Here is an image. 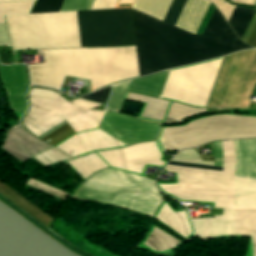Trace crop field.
I'll list each match as a JSON object with an SVG mask.
<instances>
[{
  "mask_svg": "<svg viewBox=\"0 0 256 256\" xmlns=\"http://www.w3.org/2000/svg\"><path fill=\"white\" fill-rule=\"evenodd\" d=\"M237 152L235 176L256 178V139L234 140ZM177 172L178 184H159L180 200L215 202V208H234V177ZM235 177V208L256 207V180ZM203 218V217H202ZM200 239L234 235V209L214 218L192 219ZM235 235H252L256 256V208L235 209Z\"/></svg>",
  "mask_w": 256,
  "mask_h": 256,
  "instance_id": "obj_1",
  "label": "crop field"
},
{
  "mask_svg": "<svg viewBox=\"0 0 256 256\" xmlns=\"http://www.w3.org/2000/svg\"><path fill=\"white\" fill-rule=\"evenodd\" d=\"M36 160H38L42 165L47 166L53 162L62 161L68 158H71L62 152L58 151L55 148H51L35 157Z\"/></svg>",
  "mask_w": 256,
  "mask_h": 256,
  "instance_id": "obj_32",
  "label": "crop field"
},
{
  "mask_svg": "<svg viewBox=\"0 0 256 256\" xmlns=\"http://www.w3.org/2000/svg\"><path fill=\"white\" fill-rule=\"evenodd\" d=\"M140 77L166 69L160 21L132 10Z\"/></svg>",
  "mask_w": 256,
  "mask_h": 256,
  "instance_id": "obj_11",
  "label": "crop field"
},
{
  "mask_svg": "<svg viewBox=\"0 0 256 256\" xmlns=\"http://www.w3.org/2000/svg\"><path fill=\"white\" fill-rule=\"evenodd\" d=\"M210 4L208 0H187L175 26L196 34Z\"/></svg>",
  "mask_w": 256,
  "mask_h": 256,
  "instance_id": "obj_19",
  "label": "crop field"
},
{
  "mask_svg": "<svg viewBox=\"0 0 256 256\" xmlns=\"http://www.w3.org/2000/svg\"><path fill=\"white\" fill-rule=\"evenodd\" d=\"M255 6H256V4H255Z\"/></svg>",
  "mask_w": 256,
  "mask_h": 256,
  "instance_id": "obj_43",
  "label": "crop field"
},
{
  "mask_svg": "<svg viewBox=\"0 0 256 256\" xmlns=\"http://www.w3.org/2000/svg\"><path fill=\"white\" fill-rule=\"evenodd\" d=\"M221 62L222 58L171 70L161 97L190 105L205 106Z\"/></svg>",
  "mask_w": 256,
  "mask_h": 256,
  "instance_id": "obj_7",
  "label": "crop field"
},
{
  "mask_svg": "<svg viewBox=\"0 0 256 256\" xmlns=\"http://www.w3.org/2000/svg\"><path fill=\"white\" fill-rule=\"evenodd\" d=\"M127 98L147 103L140 117L162 121L168 101L130 93H128Z\"/></svg>",
  "mask_w": 256,
  "mask_h": 256,
  "instance_id": "obj_23",
  "label": "crop field"
},
{
  "mask_svg": "<svg viewBox=\"0 0 256 256\" xmlns=\"http://www.w3.org/2000/svg\"><path fill=\"white\" fill-rule=\"evenodd\" d=\"M64 0H37L32 13L58 12ZM94 0H65L59 12L89 10Z\"/></svg>",
  "mask_w": 256,
  "mask_h": 256,
  "instance_id": "obj_21",
  "label": "crop field"
},
{
  "mask_svg": "<svg viewBox=\"0 0 256 256\" xmlns=\"http://www.w3.org/2000/svg\"><path fill=\"white\" fill-rule=\"evenodd\" d=\"M67 123V122H66ZM65 122L55 126L54 128H52L51 130L47 131L46 133H44L43 135H41L40 137L38 138H43L45 137L46 135H48L49 133L53 132L54 130L58 129L59 127H61L62 125L66 124ZM75 132L72 130V128L66 124L64 126H62L61 128H59L58 130L54 131L53 133L49 134L48 136H46L45 138H43L42 140H46V139H51L52 141L49 142V144L51 145H56L57 143H59L60 141H62L63 139H65L66 137L74 134ZM47 140L46 142L50 141V140Z\"/></svg>",
  "mask_w": 256,
  "mask_h": 256,
  "instance_id": "obj_31",
  "label": "crop field"
},
{
  "mask_svg": "<svg viewBox=\"0 0 256 256\" xmlns=\"http://www.w3.org/2000/svg\"><path fill=\"white\" fill-rule=\"evenodd\" d=\"M0 45L11 46L6 25H0Z\"/></svg>",
  "mask_w": 256,
  "mask_h": 256,
  "instance_id": "obj_37",
  "label": "crop field"
},
{
  "mask_svg": "<svg viewBox=\"0 0 256 256\" xmlns=\"http://www.w3.org/2000/svg\"><path fill=\"white\" fill-rule=\"evenodd\" d=\"M3 1H8V0H0V2H3Z\"/></svg>",
  "mask_w": 256,
  "mask_h": 256,
  "instance_id": "obj_41",
  "label": "crop field"
},
{
  "mask_svg": "<svg viewBox=\"0 0 256 256\" xmlns=\"http://www.w3.org/2000/svg\"><path fill=\"white\" fill-rule=\"evenodd\" d=\"M156 218L161 220L176 232L182 234L184 237L192 233L190 224L186 217V211L173 213L169 207L164 204L159 210Z\"/></svg>",
  "mask_w": 256,
  "mask_h": 256,
  "instance_id": "obj_22",
  "label": "crop field"
},
{
  "mask_svg": "<svg viewBox=\"0 0 256 256\" xmlns=\"http://www.w3.org/2000/svg\"><path fill=\"white\" fill-rule=\"evenodd\" d=\"M225 23L216 10L204 36H200L161 22L167 69L221 56L219 36Z\"/></svg>",
  "mask_w": 256,
  "mask_h": 256,
  "instance_id": "obj_5",
  "label": "crop field"
},
{
  "mask_svg": "<svg viewBox=\"0 0 256 256\" xmlns=\"http://www.w3.org/2000/svg\"><path fill=\"white\" fill-rule=\"evenodd\" d=\"M125 146L99 129L76 134L60 143L57 148L68 155L85 154L92 150Z\"/></svg>",
  "mask_w": 256,
  "mask_h": 256,
  "instance_id": "obj_15",
  "label": "crop field"
},
{
  "mask_svg": "<svg viewBox=\"0 0 256 256\" xmlns=\"http://www.w3.org/2000/svg\"><path fill=\"white\" fill-rule=\"evenodd\" d=\"M27 184L34 187V188L40 189V190H42V191H44V192H46L50 195H53V196H55V197H57V198H59L63 201H65L69 197V194L64 193L60 190H57L55 188H52L50 186H47L45 184H42V183H40V182H38V181H36L32 178L27 182Z\"/></svg>",
  "mask_w": 256,
  "mask_h": 256,
  "instance_id": "obj_34",
  "label": "crop field"
},
{
  "mask_svg": "<svg viewBox=\"0 0 256 256\" xmlns=\"http://www.w3.org/2000/svg\"><path fill=\"white\" fill-rule=\"evenodd\" d=\"M34 1L0 3V24H5L3 15L29 13Z\"/></svg>",
  "mask_w": 256,
  "mask_h": 256,
  "instance_id": "obj_30",
  "label": "crop field"
},
{
  "mask_svg": "<svg viewBox=\"0 0 256 256\" xmlns=\"http://www.w3.org/2000/svg\"><path fill=\"white\" fill-rule=\"evenodd\" d=\"M74 198L107 202L151 216L164 199L154 180L112 168L90 177Z\"/></svg>",
  "mask_w": 256,
  "mask_h": 256,
  "instance_id": "obj_3",
  "label": "crop field"
},
{
  "mask_svg": "<svg viewBox=\"0 0 256 256\" xmlns=\"http://www.w3.org/2000/svg\"><path fill=\"white\" fill-rule=\"evenodd\" d=\"M45 63L27 65L31 82L60 90L65 75L89 79L86 48L66 50H39Z\"/></svg>",
  "mask_w": 256,
  "mask_h": 256,
  "instance_id": "obj_9",
  "label": "crop field"
},
{
  "mask_svg": "<svg viewBox=\"0 0 256 256\" xmlns=\"http://www.w3.org/2000/svg\"><path fill=\"white\" fill-rule=\"evenodd\" d=\"M220 42H221L222 56L232 53L234 51L251 48L246 44H244L243 42H241L236 37V35L233 33V31L230 29L227 23L220 36Z\"/></svg>",
  "mask_w": 256,
  "mask_h": 256,
  "instance_id": "obj_28",
  "label": "crop field"
},
{
  "mask_svg": "<svg viewBox=\"0 0 256 256\" xmlns=\"http://www.w3.org/2000/svg\"><path fill=\"white\" fill-rule=\"evenodd\" d=\"M230 1L245 4V5H254L256 2V0H230Z\"/></svg>",
  "mask_w": 256,
  "mask_h": 256,
  "instance_id": "obj_39",
  "label": "crop field"
},
{
  "mask_svg": "<svg viewBox=\"0 0 256 256\" xmlns=\"http://www.w3.org/2000/svg\"><path fill=\"white\" fill-rule=\"evenodd\" d=\"M50 147L52 146L34 138L20 125L9 129L1 150L22 162Z\"/></svg>",
  "mask_w": 256,
  "mask_h": 256,
  "instance_id": "obj_16",
  "label": "crop field"
},
{
  "mask_svg": "<svg viewBox=\"0 0 256 256\" xmlns=\"http://www.w3.org/2000/svg\"><path fill=\"white\" fill-rule=\"evenodd\" d=\"M215 6L221 11L226 21H228L235 6H231L223 0H211Z\"/></svg>",
  "mask_w": 256,
  "mask_h": 256,
  "instance_id": "obj_35",
  "label": "crop field"
},
{
  "mask_svg": "<svg viewBox=\"0 0 256 256\" xmlns=\"http://www.w3.org/2000/svg\"><path fill=\"white\" fill-rule=\"evenodd\" d=\"M104 111L87 110L66 120L75 132L96 128Z\"/></svg>",
  "mask_w": 256,
  "mask_h": 256,
  "instance_id": "obj_24",
  "label": "crop field"
},
{
  "mask_svg": "<svg viewBox=\"0 0 256 256\" xmlns=\"http://www.w3.org/2000/svg\"><path fill=\"white\" fill-rule=\"evenodd\" d=\"M203 110L204 109H194V108H190V107L172 102L171 108H170V111H169V114L167 117L175 118V117H179V116H183V115H187V114H191V113H195V112H199V111H203ZM205 111H203V112H205ZM199 113H201V112H199ZM195 114H198V113H195ZM195 114H191V115H195ZM191 115H188V116H191ZM185 117H187V116L176 118V119L182 120Z\"/></svg>",
  "mask_w": 256,
  "mask_h": 256,
  "instance_id": "obj_33",
  "label": "crop field"
},
{
  "mask_svg": "<svg viewBox=\"0 0 256 256\" xmlns=\"http://www.w3.org/2000/svg\"><path fill=\"white\" fill-rule=\"evenodd\" d=\"M10 1H16V0H10Z\"/></svg>",
  "mask_w": 256,
  "mask_h": 256,
  "instance_id": "obj_42",
  "label": "crop field"
},
{
  "mask_svg": "<svg viewBox=\"0 0 256 256\" xmlns=\"http://www.w3.org/2000/svg\"><path fill=\"white\" fill-rule=\"evenodd\" d=\"M246 69L256 70V49L225 56L206 107L245 108L248 96L236 93Z\"/></svg>",
  "mask_w": 256,
  "mask_h": 256,
  "instance_id": "obj_8",
  "label": "crop field"
},
{
  "mask_svg": "<svg viewBox=\"0 0 256 256\" xmlns=\"http://www.w3.org/2000/svg\"><path fill=\"white\" fill-rule=\"evenodd\" d=\"M68 163L85 179L92 173L109 167L95 153L68 161Z\"/></svg>",
  "mask_w": 256,
  "mask_h": 256,
  "instance_id": "obj_25",
  "label": "crop field"
},
{
  "mask_svg": "<svg viewBox=\"0 0 256 256\" xmlns=\"http://www.w3.org/2000/svg\"><path fill=\"white\" fill-rule=\"evenodd\" d=\"M134 0H120L118 4L133 3Z\"/></svg>",
  "mask_w": 256,
  "mask_h": 256,
  "instance_id": "obj_40",
  "label": "crop field"
},
{
  "mask_svg": "<svg viewBox=\"0 0 256 256\" xmlns=\"http://www.w3.org/2000/svg\"><path fill=\"white\" fill-rule=\"evenodd\" d=\"M255 10L236 6L228 23L236 32L239 38H242Z\"/></svg>",
  "mask_w": 256,
  "mask_h": 256,
  "instance_id": "obj_26",
  "label": "crop field"
},
{
  "mask_svg": "<svg viewBox=\"0 0 256 256\" xmlns=\"http://www.w3.org/2000/svg\"><path fill=\"white\" fill-rule=\"evenodd\" d=\"M98 128L129 146L156 140L160 124L142 122L107 111Z\"/></svg>",
  "mask_w": 256,
  "mask_h": 256,
  "instance_id": "obj_12",
  "label": "crop field"
},
{
  "mask_svg": "<svg viewBox=\"0 0 256 256\" xmlns=\"http://www.w3.org/2000/svg\"><path fill=\"white\" fill-rule=\"evenodd\" d=\"M117 0H95L90 10L114 8Z\"/></svg>",
  "mask_w": 256,
  "mask_h": 256,
  "instance_id": "obj_36",
  "label": "crop field"
},
{
  "mask_svg": "<svg viewBox=\"0 0 256 256\" xmlns=\"http://www.w3.org/2000/svg\"><path fill=\"white\" fill-rule=\"evenodd\" d=\"M222 145H223V155H224L223 172H219V171H222V168H218V167L188 164V163H196V164H204V165H211V166H213L214 164V162H202L198 154L194 150V148L184 149L171 159L173 161H181V162H188V163L170 161L169 164L203 168V169H211V170H219V171H211V170H203V169H195V168H187V167H179V166H171V165H167L166 167L234 176L235 160H236L234 142L233 140H224L222 141ZM222 145H221V141L213 142L214 157H215L214 166L222 167L223 165Z\"/></svg>",
  "mask_w": 256,
  "mask_h": 256,
  "instance_id": "obj_13",
  "label": "crop field"
},
{
  "mask_svg": "<svg viewBox=\"0 0 256 256\" xmlns=\"http://www.w3.org/2000/svg\"><path fill=\"white\" fill-rule=\"evenodd\" d=\"M179 242V240L169 236L158 228L153 227L149 236L143 244L149 246L154 250H164L173 247Z\"/></svg>",
  "mask_w": 256,
  "mask_h": 256,
  "instance_id": "obj_27",
  "label": "crop field"
},
{
  "mask_svg": "<svg viewBox=\"0 0 256 256\" xmlns=\"http://www.w3.org/2000/svg\"><path fill=\"white\" fill-rule=\"evenodd\" d=\"M110 88L82 98L105 103ZM29 100L30 109L23 119V124L36 136L81 111L102 105L79 98L67 102L57 93L34 88L29 92Z\"/></svg>",
  "mask_w": 256,
  "mask_h": 256,
  "instance_id": "obj_6",
  "label": "crop field"
},
{
  "mask_svg": "<svg viewBox=\"0 0 256 256\" xmlns=\"http://www.w3.org/2000/svg\"><path fill=\"white\" fill-rule=\"evenodd\" d=\"M168 71L132 80L127 91L159 98Z\"/></svg>",
  "mask_w": 256,
  "mask_h": 256,
  "instance_id": "obj_20",
  "label": "crop field"
},
{
  "mask_svg": "<svg viewBox=\"0 0 256 256\" xmlns=\"http://www.w3.org/2000/svg\"><path fill=\"white\" fill-rule=\"evenodd\" d=\"M111 166L140 173L145 164L163 166L155 142L98 152Z\"/></svg>",
  "mask_w": 256,
  "mask_h": 256,
  "instance_id": "obj_14",
  "label": "crop field"
},
{
  "mask_svg": "<svg viewBox=\"0 0 256 256\" xmlns=\"http://www.w3.org/2000/svg\"><path fill=\"white\" fill-rule=\"evenodd\" d=\"M256 137V117L220 115L202 118L186 126L163 128L164 150L188 148L222 138Z\"/></svg>",
  "mask_w": 256,
  "mask_h": 256,
  "instance_id": "obj_4",
  "label": "crop field"
},
{
  "mask_svg": "<svg viewBox=\"0 0 256 256\" xmlns=\"http://www.w3.org/2000/svg\"><path fill=\"white\" fill-rule=\"evenodd\" d=\"M87 59L93 90L138 76L135 46L87 49Z\"/></svg>",
  "mask_w": 256,
  "mask_h": 256,
  "instance_id": "obj_10",
  "label": "crop field"
},
{
  "mask_svg": "<svg viewBox=\"0 0 256 256\" xmlns=\"http://www.w3.org/2000/svg\"><path fill=\"white\" fill-rule=\"evenodd\" d=\"M247 44L256 47V27H255V29H254V31H253V33H252V35H251Z\"/></svg>",
  "mask_w": 256,
  "mask_h": 256,
  "instance_id": "obj_38",
  "label": "crop field"
},
{
  "mask_svg": "<svg viewBox=\"0 0 256 256\" xmlns=\"http://www.w3.org/2000/svg\"><path fill=\"white\" fill-rule=\"evenodd\" d=\"M0 77L12 111L23 114L26 110L25 93L29 86L24 65L0 66Z\"/></svg>",
  "mask_w": 256,
  "mask_h": 256,
  "instance_id": "obj_17",
  "label": "crop field"
},
{
  "mask_svg": "<svg viewBox=\"0 0 256 256\" xmlns=\"http://www.w3.org/2000/svg\"><path fill=\"white\" fill-rule=\"evenodd\" d=\"M82 47L135 45L130 9L77 12ZM76 12L5 16L13 50L81 47Z\"/></svg>",
  "mask_w": 256,
  "mask_h": 256,
  "instance_id": "obj_2",
  "label": "crop field"
},
{
  "mask_svg": "<svg viewBox=\"0 0 256 256\" xmlns=\"http://www.w3.org/2000/svg\"><path fill=\"white\" fill-rule=\"evenodd\" d=\"M129 82L126 81L113 85L106 105L107 110L120 111Z\"/></svg>",
  "mask_w": 256,
  "mask_h": 256,
  "instance_id": "obj_29",
  "label": "crop field"
},
{
  "mask_svg": "<svg viewBox=\"0 0 256 256\" xmlns=\"http://www.w3.org/2000/svg\"><path fill=\"white\" fill-rule=\"evenodd\" d=\"M171 2L172 0H135L131 8L163 20ZM185 2L186 0H173L163 21L175 25Z\"/></svg>",
  "mask_w": 256,
  "mask_h": 256,
  "instance_id": "obj_18",
  "label": "crop field"
}]
</instances>
